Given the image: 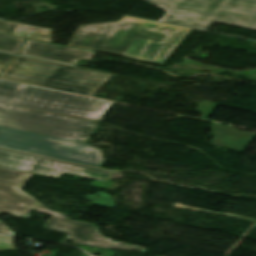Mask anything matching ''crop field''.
Here are the masks:
<instances>
[{
	"mask_svg": "<svg viewBox=\"0 0 256 256\" xmlns=\"http://www.w3.org/2000/svg\"><path fill=\"white\" fill-rule=\"evenodd\" d=\"M33 174L0 167V214L7 212L11 215L30 219L31 209L54 214L44 225L45 228L66 233L68 236L62 241L69 240L75 244L127 250L148 253L145 248L116 244L101 234L96 225L66 219L65 214L50 211L30 195L16 187L24 185ZM0 234L15 236V233L0 221Z\"/></svg>",
	"mask_w": 256,
	"mask_h": 256,
	"instance_id": "8a807250",
	"label": "crop field"
},
{
	"mask_svg": "<svg viewBox=\"0 0 256 256\" xmlns=\"http://www.w3.org/2000/svg\"><path fill=\"white\" fill-rule=\"evenodd\" d=\"M166 11L161 22L207 30L219 22L256 30V2L247 0H146Z\"/></svg>",
	"mask_w": 256,
	"mask_h": 256,
	"instance_id": "ac0d7876",
	"label": "crop field"
},
{
	"mask_svg": "<svg viewBox=\"0 0 256 256\" xmlns=\"http://www.w3.org/2000/svg\"><path fill=\"white\" fill-rule=\"evenodd\" d=\"M111 77L106 73L17 56L0 78L93 96Z\"/></svg>",
	"mask_w": 256,
	"mask_h": 256,
	"instance_id": "34b2d1b8",
	"label": "crop field"
},
{
	"mask_svg": "<svg viewBox=\"0 0 256 256\" xmlns=\"http://www.w3.org/2000/svg\"><path fill=\"white\" fill-rule=\"evenodd\" d=\"M0 102L100 122L111 102L0 80Z\"/></svg>",
	"mask_w": 256,
	"mask_h": 256,
	"instance_id": "412701ff",
	"label": "crop field"
},
{
	"mask_svg": "<svg viewBox=\"0 0 256 256\" xmlns=\"http://www.w3.org/2000/svg\"><path fill=\"white\" fill-rule=\"evenodd\" d=\"M0 147L100 168L104 160L94 146L0 126Z\"/></svg>",
	"mask_w": 256,
	"mask_h": 256,
	"instance_id": "f4fd0767",
	"label": "crop field"
},
{
	"mask_svg": "<svg viewBox=\"0 0 256 256\" xmlns=\"http://www.w3.org/2000/svg\"><path fill=\"white\" fill-rule=\"evenodd\" d=\"M0 125L84 142L97 123L0 104Z\"/></svg>",
	"mask_w": 256,
	"mask_h": 256,
	"instance_id": "dd49c442",
	"label": "crop field"
},
{
	"mask_svg": "<svg viewBox=\"0 0 256 256\" xmlns=\"http://www.w3.org/2000/svg\"><path fill=\"white\" fill-rule=\"evenodd\" d=\"M128 17V16H127ZM124 17L122 20L143 23L125 56L163 64L190 28Z\"/></svg>",
	"mask_w": 256,
	"mask_h": 256,
	"instance_id": "e52e79f7",
	"label": "crop field"
},
{
	"mask_svg": "<svg viewBox=\"0 0 256 256\" xmlns=\"http://www.w3.org/2000/svg\"><path fill=\"white\" fill-rule=\"evenodd\" d=\"M140 26L125 21L79 26L68 45L124 55Z\"/></svg>",
	"mask_w": 256,
	"mask_h": 256,
	"instance_id": "d8731c3e",
	"label": "crop field"
},
{
	"mask_svg": "<svg viewBox=\"0 0 256 256\" xmlns=\"http://www.w3.org/2000/svg\"><path fill=\"white\" fill-rule=\"evenodd\" d=\"M0 165L59 177L63 172L106 181L111 172L0 148Z\"/></svg>",
	"mask_w": 256,
	"mask_h": 256,
	"instance_id": "5a996713",
	"label": "crop field"
},
{
	"mask_svg": "<svg viewBox=\"0 0 256 256\" xmlns=\"http://www.w3.org/2000/svg\"><path fill=\"white\" fill-rule=\"evenodd\" d=\"M20 54L66 64H75L79 59L91 60L94 52L27 39Z\"/></svg>",
	"mask_w": 256,
	"mask_h": 256,
	"instance_id": "3316defc",
	"label": "crop field"
},
{
	"mask_svg": "<svg viewBox=\"0 0 256 256\" xmlns=\"http://www.w3.org/2000/svg\"><path fill=\"white\" fill-rule=\"evenodd\" d=\"M232 126L214 123L210 128L214 133L213 145L242 151L253 134L232 130ZM237 135L236 137L234 135Z\"/></svg>",
	"mask_w": 256,
	"mask_h": 256,
	"instance_id": "28ad6ade",
	"label": "crop field"
},
{
	"mask_svg": "<svg viewBox=\"0 0 256 256\" xmlns=\"http://www.w3.org/2000/svg\"><path fill=\"white\" fill-rule=\"evenodd\" d=\"M16 35L51 42V30L35 26L22 24Z\"/></svg>",
	"mask_w": 256,
	"mask_h": 256,
	"instance_id": "d1516ede",
	"label": "crop field"
},
{
	"mask_svg": "<svg viewBox=\"0 0 256 256\" xmlns=\"http://www.w3.org/2000/svg\"><path fill=\"white\" fill-rule=\"evenodd\" d=\"M24 40L0 34V51L18 54Z\"/></svg>",
	"mask_w": 256,
	"mask_h": 256,
	"instance_id": "22f410ed",
	"label": "crop field"
},
{
	"mask_svg": "<svg viewBox=\"0 0 256 256\" xmlns=\"http://www.w3.org/2000/svg\"><path fill=\"white\" fill-rule=\"evenodd\" d=\"M97 194L99 195V197H97ZM85 198L92 201V204L115 207V202L112 196L105 192L96 193L94 195H86Z\"/></svg>",
	"mask_w": 256,
	"mask_h": 256,
	"instance_id": "cbeb9de0",
	"label": "crop field"
},
{
	"mask_svg": "<svg viewBox=\"0 0 256 256\" xmlns=\"http://www.w3.org/2000/svg\"><path fill=\"white\" fill-rule=\"evenodd\" d=\"M21 24L0 21V32L15 35Z\"/></svg>",
	"mask_w": 256,
	"mask_h": 256,
	"instance_id": "5142ce71",
	"label": "crop field"
},
{
	"mask_svg": "<svg viewBox=\"0 0 256 256\" xmlns=\"http://www.w3.org/2000/svg\"><path fill=\"white\" fill-rule=\"evenodd\" d=\"M14 55L0 53V71L14 58Z\"/></svg>",
	"mask_w": 256,
	"mask_h": 256,
	"instance_id": "d9b57169",
	"label": "crop field"
}]
</instances>
